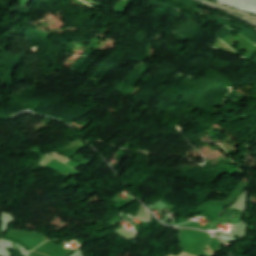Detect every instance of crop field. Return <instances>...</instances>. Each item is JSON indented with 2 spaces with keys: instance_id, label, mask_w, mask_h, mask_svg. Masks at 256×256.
<instances>
[{
  "instance_id": "1",
  "label": "crop field",
  "mask_w": 256,
  "mask_h": 256,
  "mask_svg": "<svg viewBox=\"0 0 256 256\" xmlns=\"http://www.w3.org/2000/svg\"><path fill=\"white\" fill-rule=\"evenodd\" d=\"M206 3H208V2H206ZM208 4H211V3H208ZM211 5H214V4H211ZM214 6L219 7V8H221V9L227 11V12L236 14V15H238V16L256 24V17L255 16H252V15H249V14H246V13H243V12L235 11V10H232V9H228V8H225V7H221V6H218V5H214Z\"/></svg>"
}]
</instances>
